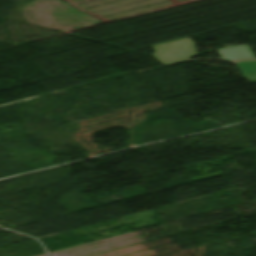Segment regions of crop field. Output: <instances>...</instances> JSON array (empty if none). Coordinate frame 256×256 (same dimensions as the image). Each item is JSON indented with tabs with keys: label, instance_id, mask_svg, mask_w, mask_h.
Segmentation results:
<instances>
[{
	"label": "crop field",
	"instance_id": "1",
	"mask_svg": "<svg viewBox=\"0 0 256 256\" xmlns=\"http://www.w3.org/2000/svg\"><path fill=\"white\" fill-rule=\"evenodd\" d=\"M250 83L256 82V79L248 80Z\"/></svg>",
	"mask_w": 256,
	"mask_h": 256
}]
</instances>
